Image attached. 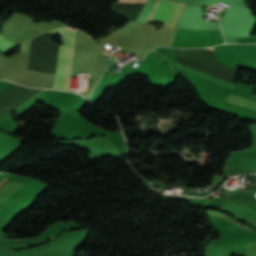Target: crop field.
Wrapping results in <instances>:
<instances>
[{
  "instance_id": "8a807250",
  "label": "crop field",
  "mask_w": 256,
  "mask_h": 256,
  "mask_svg": "<svg viewBox=\"0 0 256 256\" xmlns=\"http://www.w3.org/2000/svg\"><path fill=\"white\" fill-rule=\"evenodd\" d=\"M49 33L50 35L59 34L63 40V45H59L57 70L52 88L68 90L76 31L61 27Z\"/></svg>"
},
{
  "instance_id": "34b2d1b8",
  "label": "crop field",
  "mask_w": 256,
  "mask_h": 256,
  "mask_svg": "<svg viewBox=\"0 0 256 256\" xmlns=\"http://www.w3.org/2000/svg\"><path fill=\"white\" fill-rule=\"evenodd\" d=\"M209 30L177 29L173 46H208Z\"/></svg>"
},
{
  "instance_id": "ac0d7876",
  "label": "crop field",
  "mask_w": 256,
  "mask_h": 256,
  "mask_svg": "<svg viewBox=\"0 0 256 256\" xmlns=\"http://www.w3.org/2000/svg\"><path fill=\"white\" fill-rule=\"evenodd\" d=\"M145 0H119L116 4L144 3ZM185 4L174 3L169 0H156L146 23L157 22L174 28ZM151 11V12H152Z\"/></svg>"
},
{
  "instance_id": "e52e79f7",
  "label": "crop field",
  "mask_w": 256,
  "mask_h": 256,
  "mask_svg": "<svg viewBox=\"0 0 256 256\" xmlns=\"http://www.w3.org/2000/svg\"><path fill=\"white\" fill-rule=\"evenodd\" d=\"M14 47L12 45H10L4 38H2L0 36V49L6 53L8 51H10L11 49H13Z\"/></svg>"
},
{
  "instance_id": "f4fd0767",
  "label": "crop field",
  "mask_w": 256,
  "mask_h": 256,
  "mask_svg": "<svg viewBox=\"0 0 256 256\" xmlns=\"http://www.w3.org/2000/svg\"><path fill=\"white\" fill-rule=\"evenodd\" d=\"M22 186H24V185L19 184L15 181H12L11 183H9L7 186H5L3 189L0 190V202L5 201L6 199H8L11 195H13Z\"/></svg>"
},
{
  "instance_id": "dd49c442",
  "label": "crop field",
  "mask_w": 256,
  "mask_h": 256,
  "mask_svg": "<svg viewBox=\"0 0 256 256\" xmlns=\"http://www.w3.org/2000/svg\"><path fill=\"white\" fill-rule=\"evenodd\" d=\"M209 49H213V50H214L213 47H212V48H209ZM176 64H177V63H176ZM177 66H178V68H179L180 70H183V71H185V72H188V73L197 75V76H199V77H202V78L211 80V81H213V82H216V83L225 85V86L230 87V88H232V86H233V84H230V83H228V82L222 81V80L217 79V78H214V77H212V76H209V75H206V74L197 72V71H195V70H192V69H190V68L184 67V66H182V65L177 64Z\"/></svg>"
},
{
  "instance_id": "412701ff",
  "label": "crop field",
  "mask_w": 256,
  "mask_h": 256,
  "mask_svg": "<svg viewBox=\"0 0 256 256\" xmlns=\"http://www.w3.org/2000/svg\"><path fill=\"white\" fill-rule=\"evenodd\" d=\"M226 101L230 102L232 104H235V105H239V106H243L246 108L256 110V101H252V100L245 99V98L238 97V96L231 95V94L228 95V97L226 98Z\"/></svg>"
}]
</instances>
